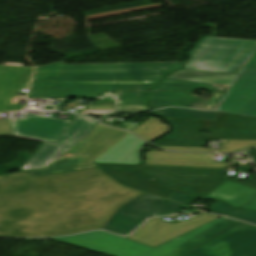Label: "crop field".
Returning a JSON list of instances; mask_svg holds the SVG:
<instances>
[{
	"label": "crop field",
	"mask_w": 256,
	"mask_h": 256,
	"mask_svg": "<svg viewBox=\"0 0 256 256\" xmlns=\"http://www.w3.org/2000/svg\"><path fill=\"white\" fill-rule=\"evenodd\" d=\"M255 45L254 40L204 37L182 69L237 73Z\"/></svg>",
	"instance_id": "f4fd0767"
},
{
	"label": "crop field",
	"mask_w": 256,
	"mask_h": 256,
	"mask_svg": "<svg viewBox=\"0 0 256 256\" xmlns=\"http://www.w3.org/2000/svg\"><path fill=\"white\" fill-rule=\"evenodd\" d=\"M204 156L205 158H200ZM211 154L145 151L144 164L229 168L230 163L211 162Z\"/></svg>",
	"instance_id": "4a817a6b"
},
{
	"label": "crop field",
	"mask_w": 256,
	"mask_h": 256,
	"mask_svg": "<svg viewBox=\"0 0 256 256\" xmlns=\"http://www.w3.org/2000/svg\"><path fill=\"white\" fill-rule=\"evenodd\" d=\"M181 208H187V205L144 193L118 208L102 229L120 235H128L144 219L175 213Z\"/></svg>",
	"instance_id": "5a996713"
},
{
	"label": "crop field",
	"mask_w": 256,
	"mask_h": 256,
	"mask_svg": "<svg viewBox=\"0 0 256 256\" xmlns=\"http://www.w3.org/2000/svg\"><path fill=\"white\" fill-rule=\"evenodd\" d=\"M33 68L0 65V112L23 109L16 91H26Z\"/></svg>",
	"instance_id": "d9b57169"
},
{
	"label": "crop field",
	"mask_w": 256,
	"mask_h": 256,
	"mask_svg": "<svg viewBox=\"0 0 256 256\" xmlns=\"http://www.w3.org/2000/svg\"><path fill=\"white\" fill-rule=\"evenodd\" d=\"M247 155H251L252 158L254 159V162L256 163V149L249 150Z\"/></svg>",
	"instance_id": "1d83c4d3"
},
{
	"label": "crop field",
	"mask_w": 256,
	"mask_h": 256,
	"mask_svg": "<svg viewBox=\"0 0 256 256\" xmlns=\"http://www.w3.org/2000/svg\"><path fill=\"white\" fill-rule=\"evenodd\" d=\"M113 180L97 168L32 178L28 172L0 175V236L101 229L118 207L143 193Z\"/></svg>",
	"instance_id": "8a807250"
},
{
	"label": "crop field",
	"mask_w": 256,
	"mask_h": 256,
	"mask_svg": "<svg viewBox=\"0 0 256 256\" xmlns=\"http://www.w3.org/2000/svg\"><path fill=\"white\" fill-rule=\"evenodd\" d=\"M235 74L178 70L166 78L230 84Z\"/></svg>",
	"instance_id": "92a150f3"
},
{
	"label": "crop field",
	"mask_w": 256,
	"mask_h": 256,
	"mask_svg": "<svg viewBox=\"0 0 256 256\" xmlns=\"http://www.w3.org/2000/svg\"><path fill=\"white\" fill-rule=\"evenodd\" d=\"M146 144L129 133L93 162L139 164V152Z\"/></svg>",
	"instance_id": "bc2a9ffb"
},
{
	"label": "crop field",
	"mask_w": 256,
	"mask_h": 256,
	"mask_svg": "<svg viewBox=\"0 0 256 256\" xmlns=\"http://www.w3.org/2000/svg\"><path fill=\"white\" fill-rule=\"evenodd\" d=\"M0 135L55 142L70 121L51 116L29 114L24 119H1Z\"/></svg>",
	"instance_id": "d1516ede"
},
{
	"label": "crop field",
	"mask_w": 256,
	"mask_h": 256,
	"mask_svg": "<svg viewBox=\"0 0 256 256\" xmlns=\"http://www.w3.org/2000/svg\"><path fill=\"white\" fill-rule=\"evenodd\" d=\"M168 150H178V151H199V152H213L212 148H192V147H168L159 146Z\"/></svg>",
	"instance_id": "ae1a2a85"
},
{
	"label": "crop field",
	"mask_w": 256,
	"mask_h": 256,
	"mask_svg": "<svg viewBox=\"0 0 256 256\" xmlns=\"http://www.w3.org/2000/svg\"><path fill=\"white\" fill-rule=\"evenodd\" d=\"M121 100L122 105H146L145 92L124 91Z\"/></svg>",
	"instance_id": "730fd06b"
},
{
	"label": "crop field",
	"mask_w": 256,
	"mask_h": 256,
	"mask_svg": "<svg viewBox=\"0 0 256 256\" xmlns=\"http://www.w3.org/2000/svg\"><path fill=\"white\" fill-rule=\"evenodd\" d=\"M127 131L97 124L92 132L44 169L30 170L31 176L96 167L91 162L114 145Z\"/></svg>",
	"instance_id": "e52e79f7"
},
{
	"label": "crop field",
	"mask_w": 256,
	"mask_h": 256,
	"mask_svg": "<svg viewBox=\"0 0 256 256\" xmlns=\"http://www.w3.org/2000/svg\"><path fill=\"white\" fill-rule=\"evenodd\" d=\"M255 194L256 189L226 181L205 197L222 200L233 207H240Z\"/></svg>",
	"instance_id": "214f88e0"
},
{
	"label": "crop field",
	"mask_w": 256,
	"mask_h": 256,
	"mask_svg": "<svg viewBox=\"0 0 256 256\" xmlns=\"http://www.w3.org/2000/svg\"><path fill=\"white\" fill-rule=\"evenodd\" d=\"M139 137L151 142L165 133L169 132L166 124L160 122L154 117H150L135 130H133Z\"/></svg>",
	"instance_id": "dafd665d"
},
{
	"label": "crop field",
	"mask_w": 256,
	"mask_h": 256,
	"mask_svg": "<svg viewBox=\"0 0 256 256\" xmlns=\"http://www.w3.org/2000/svg\"><path fill=\"white\" fill-rule=\"evenodd\" d=\"M174 131L155 145L204 147L207 138L256 139V119L218 112L214 120L165 118ZM199 130H207L201 135Z\"/></svg>",
	"instance_id": "34b2d1b8"
},
{
	"label": "crop field",
	"mask_w": 256,
	"mask_h": 256,
	"mask_svg": "<svg viewBox=\"0 0 256 256\" xmlns=\"http://www.w3.org/2000/svg\"><path fill=\"white\" fill-rule=\"evenodd\" d=\"M98 122L77 115L55 143L42 142L20 171L44 168L88 135Z\"/></svg>",
	"instance_id": "22f410ed"
},
{
	"label": "crop field",
	"mask_w": 256,
	"mask_h": 256,
	"mask_svg": "<svg viewBox=\"0 0 256 256\" xmlns=\"http://www.w3.org/2000/svg\"><path fill=\"white\" fill-rule=\"evenodd\" d=\"M149 110L147 106H117V111H142Z\"/></svg>",
	"instance_id": "d3111659"
},
{
	"label": "crop field",
	"mask_w": 256,
	"mask_h": 256,
	"mask_svg": "<svg viewBox=\"0 0 256 256\" xmlns=\"http://www.w3.org/2000/svg\"><path fill=\"white\" fill-rule=\"evenodd\" d=\"M68 101L69 99H60L56 109L62 110Z\"/></svg>",
	"instance_id": "bd1437ed"
},
{
	"label": "crop field",
	"mask_w": 256,
	"mask_h": 256,
	"mask_svg": "<svg viewBox=\"0 0 256 256\" xmlns=\"http://www.w3.org/2000/svg\"><path fill=\"white\" fill-rule=\"evenodd\" d=\"M237 169H238V170H242V171H246V172H249V171L253 170V169H249V168H246V167H244V166H241V165H239V166L237 167Z\"/></svg>",
	"instance_id": "120bbe31"
},
{
	"label": "crop field",
	"mask_w": 256,
	"mask_h": 256,
	"mask_svg": "<svg viewBox=\"0 0 256 256\" xmlns=\"http://www.w3.org/2000/svg\"><path fill=\"white\" fill-rule=\"evenodd\" d=\"M209 211L224 214L225 216L255 223L256 224V212L247 211L242 209H233L228 207L225 203L216 201Z\"/></svg>",
	"instance_id": "a9b5d70f"
},
{
	"label": "crop field",
	"mask_w": 256,
	"mask_h": 256,
	"mask_svg": "<svg viewBox=\"0 0 256 256\" xmlns=\"http://www.w3.org/2000/svg\"><path fill=\"white\" fill-rule=\"evenodd\" d=\"M235 222L237 220L219 217L155 248L101 231L88 232L70 237H52L51 239L110 256H183L212 235Z\"/></svg>",
	"instance_id": "ac0d7876"
},
{
	"label": "crop field",
	"mask_w": 256,
	"mask_h": 256,
	"mask_svg": "<svg viewBox=\"0 0 256 256\" xmlns=\"http://www.w3.org/2000/svg\"><path fill=\"white\" fill-rule=\"evenodd\" d=\"M156 115L165 117H183V118H199V119H214L217 111L207 112L201 110L180 109V108H165L152 112Z\"/></svg>",
	"instance_id": "00972430"
},
{
	"label": "crop field",
	"mask_w": 256,
	"mask_h": 256,
	"mask_svg": "<svg viewBox=\"0 0 256 256\" xmlns=\"http://www.w3.org/2000/svg\"><path fill=\"white\" fill-rule=\"evenodd\" d=\"M217 217L219 216L201 214L193 219L182 220L175 224L163 221V217H157L146 221L128 238L155 247L181 234H185Z\"/></svg>",
	"instance_id": "5142ce71"
},
{
	"label": "crop field",
	"mask_w": 256,
	"mask_h": 256,
	"mask_svg": "<svg viewBox=\"0 0 256 256\" xmlns=\"http://www.w3.org/2000/svg\"><path fill=\"white\" fill-rule=\"evenodd\" d=\"M242 208H249V209L256 210V196L251 201H249L245 206H243Z\"/></svg>",
	"instance_id": "750c4746"
},
{
	"label": "crop field",
	"mask_w": 256,
	"mask_h": 256,
	"mask_svg": "<svg viewBox=\"0 0 256 256\" xmlns=\"http://www.w3.org/2000/svg\"><path fill=\"white\" fill-rule=\"evenodd\" d=\"M186 256H256V227L239 223Z\"/></svg>",
	"instance_id": "28ad6ade"
},
{
	"label": "crop field",
	"mask_w": 256,
	"mask_h": 256,
	"mask_svg": "<svg viewBox=\"0 0 256 256\" xmlns=\"http://www.w3.org/2000/svg\"><path fill=\"white\" fill-rule=\"evenodd\" d=\"M181 63L63 65L36 68L33 80H118L160 79Z\"/></svg>",
	"instance_id": "412701ff"
},
{
	"label": "crop field",
	"mask_w": 256,
	"mask_h": 256,
	"mask_svg": "<svg viewBox=\"0 0 256 256\" xmlns=\"http://www.w3.org/2000/svg\"><path fill=\"white\" fill-rule=\"evenodd\" d=\"M200 87L212 92V96L209 100L204 101L194 95L183 92H148L147 98L152 109L166 106L215 109L225 93L208 83L162 79L155 88L150 90H182L192 93Z\"/></svg>",
	"instance_id": "3316defc"
},
{
	"label": "crop field",
	"mask_w": 256,
	"mask_h": 256,
	"mask_svg": "<svg viewBox=\"0 0 256 256\" xmlns=\"http://www.w3.org/2000/svg\"><path fill=\"white\" fill-rule=\"evenodd\" d=\"M97 167H111V168H127L136 170H119V169H100L116 182L137 190L144 191L149 194L167 198L174 190L163 188L161 185L151 180L147 176L138 172L139 165L126 164H109V163H93Z\"/></svg>",
	"instance_id": "733c2abd"
},
{
	"label": "crop field",
	"mask_w": 256,
	"mask_h": 256,
	"mask_svg": "<svg viewBox=\"0 0 256 256\" xmlns=\"http://www.w3.org/2000/svg\"><path fill=\"white\" fill-rule=\"evenodd\" d=\"M256 146V140H223L222 149L217 152H234V150L246 149Z\"/></svg>",
	"instance_id": "4177f3b9"
},
{
	"label": "crop field",
	"mask_w": 256,
	"mask_h": 256,
	"mask_svg": "<svg viewBox=\"0 0 256 256\" xmlns=\"http://www.w3.org/2000/svg\"><path fill=\"white\" fill-rule=\"evenodd\" d=\"M156 81H32L27 97L96 99L105 90H147Z\"/></svg>",
	"instance_id": "d8731c3e"
},
{
	"label": "crop field",
	"mask_w": 256,
	"mask_h": 256,
	"mask_svg": "<svg viewBox=\"0 0 256 256\" xmlns=\"http://www.w3.org/2000/svg\"><path fill=\"white\" fill-rule=\"evenodd\" d=\"M193 198L194 196L192 195H188L177 191H175L171 196L168 197V199H172L186 204H188Z\"/></svg>",
	"instance_id": "eef30255"
},
{
	"label": "crop field",
	"mask_w": 256,
	"mask_h": 256,
	"mask_svg": "<svg viewBox=\"0 0 256 256\" xmlns=\"http://www.w3.org/2000/svg\"><path fill=\"white\" fill-rule=\"evenodd\" d=\"M140 171L164 187L202 197L226 180L256 188V173L241 182L223 177V170L217 169L141 167Z\"/></svg>",
	"instance_id": "dd49c442"
},
{
	"label": "crop field",
	"mask_w": 256,
	"mask_h": 256,
	"mask_svg": "<svg viewBox=\"0 0 256 256\" xmlns=\"http://www.w3.org/2000/svg\"><path fill=\"white\" fill-rule=\"evenodd\" d=\"M217 111L256 118V50Z\"/></svg>",
	"instance_id": "cbeb9de0"
}]
</instances>
